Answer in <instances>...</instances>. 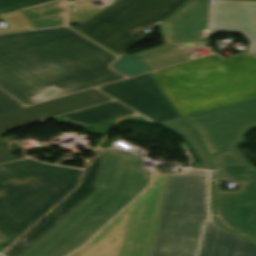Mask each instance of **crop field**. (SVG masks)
Segmentation results:
<instances>
[{
  "mask_svg": "<svg viewBox=\"0 0 256 256\" xmlns=\"http://www.w3.org/2000/svg\"><path fill=\"white\" fill-rule=\"evenodd\" d=\"M112 100L96 89L87 90L66 97L58 98L29 108L20 109L0 115V138L7 129L42 120L101 102ZM18 159L3 150L0 141V163Z\"/></svg>",
  "mask_w": 256,
  "mask_h": 256,
  "instance_id": "10",
  "label": "crop field"
},
{
  "mask_svg": "<svg viewBox=\"0 0 256 256\" xmlns=\"http://www.w3.org/2000/svg\"><path fill=\"white\" fill-rule=\"evenodd\" d=\"M210 0H191L160 25L166 45L144 51L141 56L150 71L189 60L207 46Z\"/></svg>",
  "mask_w": 256,
  "mask_h": 256,
  "instance_id": "8",
  "label": "crop field"
},
{
  "mask_svg": "<svg viewBox=\"0 0 256 256\" xmlns=\"http://www.w3.org/2000/svg\"><path fill=\"white\" fill-rule=\"evenodd\" d=\"M248 1H256V0H248Z\"/></svg>",
  "mask_w": 256,
  "mask_h": 256,
  "instance_id": "20",
  "label": "crop field"
},
{
  "mask_svg": "<svg viewBox=\"0 0 256 256\" xmlns=\"http://www.w3.org/2000/svg\"><path fill=\"white\" fill-rule=\"evenodd\" d=\"M196 128L217 171V181H235L237 191L213 187V211L217 223L256 241V168L236 151V144L256 128V99L184 117Z\"/></svg>",
  "mask_w": 256,
  "mask_h": 256,
  "instance_id": "2",
  "label": "crop field"
},
{
  "mask_svg": "<svg viewBox=\"0 0 256 256\" xmlns=\"http://www.w3.org/2000/svg\"><path fill=\"white\" fill-rule=\"evenodd\" d=\"M208 172L161 174L141 256H196L207 212Z\"/></svg>",
  "mask_w": 256,
  "mask_h": 256,
  "instance_id": "4",
  "label": "crop field"
},
{
  "mask_svg": "<svg viewBox=\"0 0 256 256\" xmlns=\"http://www.w3.org/2000/svg\"><path fill=\"white\" fill-rule=\"evenodd\" d=\"M14 240L7 235L1 228H0V253L5 249L6 245H10Z\"/></svg>",
  "mask_w": 256,
  "mask_h": 256,
  "instance_id": "19",
  "label": "crop field"
},
{
  "mask_svg": "<svg viewBox=\"0 0 256 256\" xmlns=\"http://www.w3.org/2000/svg\"><path fill=\"white\" fill-rule=\"evenodd\" d=\"M0 19L6 21L8 28L0 29V33L31 30L32 26L28 23L20 11L2 15Z\"/></svg>",
  "mask_w": 256,
  "mask_h": 256,
  "instance_id": "16",
  "label": "crop field"
},
{
  "mask_svg": "<svg viewBox=\"0 0 256 256\" xmlns=\"http://www.w3.org/2000/svg\"><path fill=\"white\" fill-rule=\"evenodd\" d=\"M142 165L140 157L106 150L96 183L100 187L22 256H65L83 245L147 187L153 171Z\"/></svg>",
  "mask_w": 256,
  "mask_h": 256,
  "instance_id": "3",
  "label": "crop field"
},
{
  "mask_svg": "<svg viewBox=\"0 0 256 256\" xmlns=\"http://www.w3.org/2000/svg\"><path fill=\"white\" fill-rule=\"evenodd\" d=\"M187 1L121 0L75 29L121 55L138 42L135 29L158 26Z\"/></svg>",
  "mask_w": 256,
  "mask_h": 256,
  "instance_id": "7",
  "label": "crop field"
},
{
  "mask_svg": "<svg viewBox=\"0 0 256 256\" xmlns=\"http://www.w3.org/2000/svg\"><path fill=\"white\" fill-rule=\"evenodd\" d=\"M153 74L182 116L256 98V56L204 58Z\"/></svg>",
  "mask_w": 256,
  "mask_h": 256,
  "instance_id": "5",
  "label": "crop field"
},
{
  "mask_svg": "<svg viewBox=\"0 0 256 256\" xmlns=\"http://www.w3.org/2000/svg\"><path fill=\"white\" fill-rule=\"evenodd\" d=\"M134 113L128 107L114 101L70 114L62 115L70 123L93 125Z\"/></svg>",
  "mask_w": 256,
  "mask_h": 256,
  "instance_id": "14",
  "label": "crop field"
},
{
  "mask_svg": "<svg viewBox=\"0 0 256 256\" xmlns=\"http://www.w3.org/2000/svg\"><path fill=\"white\" fill-rule=\"evenodd\" d=\"M113 70H116L128 77L148 72L147 67L136 56H122L112 66Z\"/></svg>",
  "mask_w": 256,
  "mask_h": 256,
  "instance_id": "15",
  "label": "crop field"
},
{
  "mask_svg": "<svg viewBox=\"0 0 256 256\" xmlns=\"http://www.w3.org/2000/svg\"><path fill=\"white\" fill-rule=\"evenodd\" d=\"M210 29L244 35L250 41L247 53H256V2L212 0Z\"/></svg>",
  "mask_w": 256,
  "mask_h": 256,
  "instance_id": "12",
  "label": "crop field"
},
{
  "mask_svg": "<svg viewBox=\"0 0 256 256\" xmlns=\"http://www.w3.org/2000/svg\"><path fill=\"white\" fill-rule=\"evenodd\" d=\"M99 88L157 122L180 117L150 73Z\"/></svg>",
  "mask_w": 256,
  "mask_h": 256,
  "instance_id": "9",
  "label": "crop field"
},
{
  "mask_svg": "<svg viewBox=\"0 0 256 256\" xmlns=\"http://www.w3.org/2000/svg\"><path fill=\"white\" fill-rule=\"evenodd\" d=\"M199 256H256V243L235 236L209 218Z\"/></svg>",
  "mask_w": 256,
  "mask_h": 256,
  "instance_id": "13",
  "label": "crop field"
},
{
  "mask_svg": "<svg viewBox=\"0 0 256 256\" xmlns=\"http://www.w3.org/2000/svg\"><path fill=\"white\" fill-rule=\"evenodd\" d=\"M81 171L31 159L0 165V225L16 239L77 185Z\"/></svg>",
  "mask_w": 256,
  "mask_h": 256,
  "instance_id": "6",
  "label": "crop field"
},
{
  "mask_svg": "<svg viewBox=\"0 0 256 256\" xmlns=\"http://www.w3.org/2000/svg\"><path fill=\"white\" fill-rule=\"evenodd\" d=\"M104 151L97 150L94 159L89 160L81 185L18 239L11 246L12 249H8L3 255L19 256L22 254L98 188L95 183Z\"/></svg>",
  "mask_w": 256,
  "mask_h": 256,
  "instance_id": "11",
  "label": "crop field"
},
{
  "mask_svg": "<svg viewBox=\"0 0 256 256\" xmlns=\"http://www.w3.org/2000/svg\"><path fill=\"white\" fill-rule=\"evenodd\" d=\"M52 0H0V14Z\"/></svg>",
  "mask_w": 256,
  "mask_h": 256,
  "instance_id": "17",
  "label": "crop field"
},
{
  "mask_svg": "<svg viewBox=\"0 0 256 256\" xmlns=\"http://www.w3.org/2000/svg\"><path fill=\"white\" fill-rule=\"evenodd\" d=\"M116 57L68 28L0 36V87L26 105L123 78Z\"/></svg>",
  "mask_w": 256,
  "mask_h": 256,
  "instance_id": "1",
  "label": "crop field"
},
{
  "mask_svg": "<svg viewBox=\"0 0 256 256\" xmlns=\"http://www.w3.org/2000/svg\"><path fill=\"white\" fill-rule=\"evenodd\" d=\"M20 108L25 106L0 90V114Z\"/></svg>",
  "mask_w": 256,
  "mask_h": 256,
  "instance_id": "18",
  "label": "crop field"
}]
</instances>
